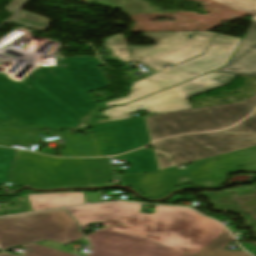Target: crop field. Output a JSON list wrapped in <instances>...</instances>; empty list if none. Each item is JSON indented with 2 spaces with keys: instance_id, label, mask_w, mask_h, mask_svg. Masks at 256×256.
I'll return each instance as SVG.
<instances>
[{
  "instance_id": "obj_9",
  "label": "crop field",
  "mask_w": 256,
  "mask_h": 256,
  "mask_svg": "<svg viewBox=\"0 0 256 256\" xmlns=\"http://www.w3.org/2000/svg\"><path fill=\"white\" fill-rule=\"evenodd\" d=\"M240 41V38L223 35L216 36L203 54L151 75L144 80L134 82L131 94L128 97L106 102L104 103L105 107L126 103L221 67L227 63Z\"/></svg>"
},
{
  "instance_id": "obj_2",
  "label": "crop field",
  "mask_w": 256,
  "mask_h": 256,
  "mask_svg": "<svg viewBox=\"0 0 256 256\" xmlns=\"http://www.w3.org/2000/svg\"><path fill=\"white\" fill-rule=\"evenodd\" d=\"M140 209L141 205L135 203L67 208L79 220L80 227L95 221H101L104 227L124 224L194 255L225 230L220 224L185 208L156 206L154 214L140 213Z\"/></svg>"
},
{
  "instance_id": "obj_17",
  "label": "crop field",
  "mask_w": 256,
  "mask_h": 256,
  "mask_svg": "<svg viewBox=\"0 0 256 256\" xmlns=\"http://www.w3.org/2000/svg\"><path fill=\"white\" fill-rule=\"evenodd\" d=\"M28 143H39L35 129L0 128V146H27Z\"/></svg>"
},
{
  "instance_id": "obj_20",
  "label": "crop field",
  "mask_w": 256,
  "mask_h": 256,
  "mask_svg": "<svg viewBox=\"0 0 256 256\" xmlns=\"http://www.w3.org/2000/svg\"><path fill=\"white\" fill-rule=\"evenodd\" d=\"M11 21L21 23L39 30H43L47 28L50 20L41 16L20 11L18 12L17 16L14 17Z\"/></svg>"
},
{
  "instance_id": "obj_1",
  "label": "crop field",
  "mask_w": 256,
  "mask_h": 256,
  "mask_svg": "<svg viewBox=\"0 0 256 256\" xmlns=\"http://www.w3.org/2000/svg\"><path fill=\"white\" fill-rule=\"evenodd\" d=\"M58 65L38 66L24 80L0 73V107L23 125L38 129H81L99 108L88 93L108 83L96 57L57 58ZM31 86V88H28Z\"/></svg>"
},
{
  "instance_id": "obj_3",
  "label": "crop field",
  "mask_w": 256,
  "mask_h": 256,
  "mask_svg": "<svg viewBox=\"0 0 256 256\" xmlns=\"http://www.w3.org/2000/svg\"><path fill=\"white\" fill-rule=\"evenodd\" d=\"M232 172H256V147L197 161L188 169L173 167L149 174L123 175V183L154 198L178 185L181 179L189 178L194 185L217 186Z\"/></svg>"
},
{
  "instance_id": "obj_12",
  "label": "crop field",
  "mask_w": 256,
  "mask_h": 256,
  "mask_svg": "<svg viewBox=\"0 0 256 256\" xmlns=\"http://www.w3.org/2000/svg\"><path fill=\"white\" fill-rule=\"evenodd\" d=\"M99 156L116 155L150 143L144 117L92 126Z\"/></svg>"
},
{
  "instance_id": "obj_11",
  "label": "crop field",
  "mask_w": 256,
  "mask_h": 256,
  "mask_svg": "<svg viewBox=\"0 0 256 256\" xmlns=\"http://www.w3.org/2000/svg\"><path fill=\"white\" fill-rule=\"evenodd\" d=\"M190 34L192 36L187 39ZM142 35L158 44L153 47H129L135 61L150 70H160L168 63L175 65L202 53L216 33L162 32Z\"/></svg>"
},
{
  "instance_id": "obj_22",
  "label": "crop field",
  "mask_w": 256,
  "mask_h": 256,
  "mask_svg": "<svg viewBox=\"0 0 256 256\" xmlns=\"http://www.w3.org/2000/svg\"><path fill=\"white\" fill-rule=\"evenodd\" d=\"M228 7L244 12L256 14V0H213Z\"/></svg>"
},
{
  "instance_id": "obj_4",
  "label": "crop field",
  "mask_w": 256,
  "mask_h": 256,
  "mask_svg": "<svg viewBox=\"0 0 256 256\" xmlns=\"http://www.w3.org/2000/svg\"><path fill=\"white\" fill-rule=\"evenodd\" d=\"M109 158L57 159L20 151L11 179L37 187L87 185L111 181Z\"/></svg>"
},
{
  "instance_id": "obj_25",
  "label": "crop field",
  "mask_w": 256,
  "mask_h": 256,
  "mask_svg": "<svg viewBox=\"0 0 256 256\" xmlns=\"http://www.w3.org/2000/svg\"><path fill=\"white\" fill-rule=\"evenodd\" d=\"M182 256H194V255H190V254L184 253Z\"/></svg>"
},
{
  "instance_id": "obj_19",
  "label": "crop field",
  "mask_w": 256,
  "mask_h": 256,
  "mask_svg": "<svg viewBox=\"0 0 256 256\" xmlns=\"http://www.w3.org/2000/svg\"><path fill=\"white\" fill-rule=\"evenodd\" d=\"M103 44L107 51L110 53V57L113 60L121 62H130L129 52L126 48L123 35L113 36L105 41Z\"/></svg>"
},
{
  "instance_id": "obj_7",
  "label": "crop field",
  "mask_w": 256,
  "mask_h": 256,
  "mask_svg": "<svg viewBox=\"0 0 256 256\" xmlns=\"http://www.w3.org/2000/svg\"><path fill=\"white\" fill-rule=\"evenodd\" d=\"M82 236L75 220L64 209L0 218V245L3 251L46 240L70 244Z\"/></svg>"
},
{
  "instance_id": "obj_23",
  "label": "crop field",
  "mask_w": 256,
  "mask_h": 256,
  "mask_svg": "<svg viewBox=\"0 0 256 256\" xmlns=\"http://www.w3.org/2000/svg\"><path fill=\"white\" fill-rule=\"evenodd\" d=\"M0 125H13L15 127H24L15 118H13L10 114L4 112L2 109H0Z\"/></svg>"
},
{
  "instance_id": "obj_24",
  "label": "crop field",
  "mask_w": 256,
  "mask_h": 256,
  "mask_svg": "<svg viewBox=\"0 0 256 256\" xmlns=\"http://www.w3.org/2000/svg\"><path fill=\"white\" fill-rule=\"evenodd\" d=\"M26 0H12L10 4L5 8L10 13H15L17 9L25 2Z\"/></svg>"
},
{
  "instance_id": "obj_18",
  "label": "crop field",
  "mask_w": 256,
  "mask_h": 256,
  "mask_svg": "<svg viewBox=\"0 0 256 256\" xmlns=\"http://www.w3.org/2000/svg\"><path fill=\"white\" fill-rule=\"evenodd\" d=\"M232 241V237L225 230L199 254H197V256H250L245 252L222 251Z\"/></svg>"
},
{
  "instance_id": "obj_10",
  "label": "crop field",
  "mask_w": 256,
  "mask_h": 256,
  "mask_svg": "<svg viewBox=\"0 0 256 256\" xmlns=\"http://www.w3.org/2000/svg\"><path fill=\"white\" fill-rule=\"evenodd\" d=\"M235 76L222 73H209L125 107H114L102 112L99 114L100 116H109L110 118L96 120L95 124L132 118L130 113L141 107L149 112L155 113L191 108L186 98L228 84Z\"/></svg>"
},
{
  "instance_id": "obj_8",
  "label": "crop field",
  "mask_w": 256,
  "mask_h": 256,
  "mask_svg": "<svg viewBox=\"0 0 256 256\" xmlns=\"http://www.w3.org/2000/svg\"><path fill=\"white\" fill-rule=\"evenodd\" d=\"M92 253L88 256H181L183 253L124 226L100 229L88 236ZM30 250L22 256H76L37 244L23 245ZM0 256H16L0 253Z\"/></svg>"
},
{
  "instance_id": "obj_5",
  "label": "crop field",
  "mask_w": 256,
  "mask_h": 256,
  "mask_svg": "<svg viewBox=\"0 0 256 256\" xmlns=\"http://www.w3.org/2000/svg\"><path fill=\"white\" fill-rule=\"evenodd\" d=\"M161 169L256 146V111L234 128L184 135L153 144Z\"/></svg>"
},
{
  "instance_id": "obj_6",
  "label": "crop field",
  "mask_w": 256,
  "mask_h": 256,
  "mask_svg": "<svg viewBox=\"0 0 256 256\" xmlns=\"http://www.w3.org/2000/svg\"><path fill=\"white\" fill-rule=\"evenodd\" d=\"M256 107V96L229 105L188 109L147 118L152 140L185 132L214 131L245 118ZM238 123V122H237Z\"/></svg>"
},
{
  "instance_id": "obj_15",
  "label": "crop field",
  "mask_w": 256,
  "mask_h": 256,
  "mask_svg": "<svg viewBox=\"0 0 256 256\" xmlns=\"http://www.w3.org/2000/svg\"><path fill=\"white\" fill-rule=\"evenodd\" d=\"M28 198L33 211L53 207L85 204L83 193L29 194Z\"/></svg>"
},
{
  "instance_id": "obj_16",
  "label": "crop field",
  "mask_w": 256,
  "mask_h": 256,
  "mask_svg": "<svg viewBox=\"0 0 256 256\" xmlns=\"http://www.w3.org/2000/svg\"><path fill=\"white\" fill-rule=\"evenodd\" d=\"M64 137L66 150L62 151L63 156H97L92 134L81 138L67 132Z\"/></svg>"
},
{
  "instance_id": "obj_21",
  "label": "crop field",
  "mask_w": 256,
  "mask_h": 256,
  "mask_svg": "<svg viewBox=\"0 0 256 256\" xmlns=\"http://www.w3.org/2000/svg\"><path fill=\"white\" fill-rule=\"evenodd\" d=\"M15 150L0 148V184L7 181V174L10 170L15 156Z\"/></svg>"
},
{
  "instance_id": "obj_26",
  "label": "crop field",
  "mask_w": 256,
  "mask_h": 256,
  "mask_svg": "<svg viewBox=\"0 0 256 256\" xmlns=\"http://www.w3.org/2000/svg\"><path fill=\"white\" fill-rule=\"evenodd\" d=\"M252 21H256V15L252 16Z\"/></svg>"
},
{
  "instance_id": "obj_14",
  "label": "crop field",
  "mask_w": 256,
  "mask_h": 256,
  "mask_svg": "<svg viewBox=\"0 0 256 256\" xmlns=\"http://www.w3.org/2000/svg\"><path fill=\"white\" fill-rule=\"evenodd\" d=\"M112 159H122L130 164V168L114 170L115 172H124V174L149 173L157 171L158 165L155 153L152 150L141 149L127 153Z\"/></svg>"
},
{
  "instance_id": "obj_13",
  "label": "crop field",
  "mask_w": 256,
  "mask_h": 256,
  "mask_svg": "<svg viewBox=\"0 0 256 256\" xmlns=\"http://www.w3.org/2000/svg\"><path fill=\"white\" fill-rule=\"evenodd\" d=\"M216 71L256 77V22L252 23L229 64Z\"/></svg>"
}]
</instances>
